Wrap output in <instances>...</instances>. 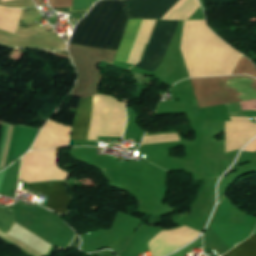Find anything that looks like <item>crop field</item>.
Listing matches in <instances>:
<instances>
[{"instance_id":"e52e79f7","label":"crop field","mask_w":256,"mask_h":256,"mask_svg":"<svg viewBox=\"0 0 256 256\" xmlns=\"http://www.w3.org/2000/svg\"><path fill=\"white\" fill-rule=\"evenodd\" d=\"M208 247L217 255H221L233 248L211 231H208L204 236V249Z\"/></svg>"},{"instance_id":"5a996713","label":"crop field","mask_w":256,"mask_h":256,"mask_svg":"<svg viewBox=\"0 0 256 256\" xmlns=\"http://www.w3.org/2000/svg\"><path fill=\"white\" fill-rule=\"evenodd\" d=\"M10 127L11 126L9 125L8 130H7V134H6V138H5V142H4V146H3V149H2L1 157H0V163H1V160H2V156H3V152H4V149H5L6 142H7ZM14 127L15 126L11 127V131H10V134H9L8 142H7L6 149H5L4 156H3V160H2V163H1V167H3V165H4V161H5V158H6V155H7V151H8L9 144H10V141H11V137H12V134H13V131H14Z\"/></svg>"},{"instance_id":"28ad6ade","label":"crop field","mask_w":256,"mask_h":256,"mask_svg":"<svg viewBox=\"0 0 256 256\" xmlns=\"http://www.w3.org/2000/svg\"><path fill=\"white\" fill-rule=\"evenodd\" d=\"M202 243V238H200L198 241L195 243L190 244L188 247L182 249L181 251L171 255V256H186V254L189 253L190 249L198 244Z\"/></svg>"},{"instance_id":"34b2d1b8","label":"crop field","mask_w":256,"mask_h":256,"mask_svg":"<svg viewBox=\"0 0 256 256\" xmlns=\"http://www.w3.org/2000/svg\"><path fill=\"white\" fill-rule=\"evenodd\" d=\"M65 181L66 179H62L32 182L29 184L47 196L49 207L51 209L66 214L72 202V198L63 185Z\"/></svg>"},{"instance_id":"412701ff","label":"crop field","mask_w":256,"mask_h":256,"mask_svg":"<svg viewBox=\"0 0 256 256\" xmlns=\"http://www.w3.org/2000/svg\"><path fill=\"white\" fill-rule=\"evenodd\" d=\"M129 19H141L158 0H124ZM179 0H159L142 19H160Z\"/></svg>"},{"instance_id":"d8731c3e","label":"crop field","mask_w":256,"mask_h":256,"mask_svg":"<svg viewBox=\"0 0 256 256\" xmlns=\"http://www.w3.org/2000/svg\"><path fill=\"white\" fill-rule=\"evenodd\" d=\"M224 256H256V234Z\"/></svg>"},{"instance_id":"ac0d7876","label":"crop field","mask_w":256,"mask_h":256,"mask_svg":"<svg viewBox=\"0 0 256 256\" xmlns=\"http://www.w3.org/2000/svg\"><path fill=\"white\" fill-rule=\"evenodd\" d=\"M179 21L157 20L142 61L136 65L154 71L165 57Z\"/></svg>"},{"instance_id":"8a807250","label":"crop field","mask_w":256,"mask_h":256,"mask_svg":"<svg viewBox=\"0 0 256 256\" xmlns=\"http://www.w3.org/2000/svg\"><path fill=\"white\" fill-rule=\"evenodd\" d=\"M128 18L123 0H102L76 26L69 43L117 50Z\"/></svg>"},{"instance_id":"3316defc","label":"crop field","mask_w":256,"mask_h":256,"mask_svg":"<svg viewBox=\"0 0 256 256\" xmlns=\"http://www.w3.org/2000/svg\"><path fill=\"white\" fill-rule=\"evenodd\" d=\"M97 0H74L73 10H87Z\"/></svg>"},{"instance_id":"22f410ed","label":"crop field","mask_w":256,"mask_h":256,"mask_svg":"<svg viewBox=\"0 0 256 256\" xmlns=\"http://www.w3.org/2000/svg\"><path fill=\"white\" fill-rule=\"evenodd\" d=\"M5 173H6V170H4L3 172L0 173V187H1Z\"/></svg>"},{"instance_id":"d1516ede","label":"crop field","mask_w":256,"mask_h":256,"mask_svg":"<svg viewBox=\"0 0 256 256\" xmlns=\"http://www.w3.org/2000/svg\"><path fill=\"white\" fill-rule=\"evenodd\" d=\"M80 244V239L79 237L76 235L75 239L73 240V242L71 243L70 247L71 248H75L78 249V246ZM79 250V249H78Z\"/></svg>"},{"instance_id":"f4fd0767","label":"crop field","mask_w":256,"mask_h":256,"mask_svg":"<svg viewBox=\"0 0 256 256\" xmlns=\"http://www.w3.org/2000/svg\"><path fill=\"white\" fill-rule=\"evenodd\" d=\"M93 96L79 101L74 125L71 131L73 140H87L92 117Z\"/></svg>"},{"instance_id":"dd49c442","label":"crop field","mask_w":256,"mask_h":256,"mask_svg":"<svg viewBox=\"0 0 256 256\" xmlns=\"http://www.w3.org/2000/svg\"><path fill=\"white\" fill-rule=\"evenodd\" d=\"M142 20H129L115 60L127 63Z\"/></svg>"}]
</instances>
